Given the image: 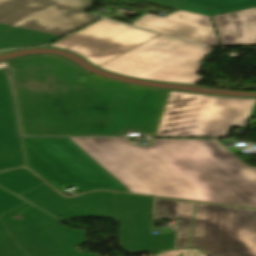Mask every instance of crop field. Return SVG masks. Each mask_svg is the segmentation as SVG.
Instances as JSON below:
<instances>
[{"label":"crop field","mask_w":256,"mask_h":256,"mask_svg":"<svg viewBox=\"0 0 256 256\" xmlns=\"http://www.w3.org/2000/svg\"><path fill=\"white\" fill-rule=\"evenodd\" d=\"M256 98L172 90L158 132L160 137H226L231 126L245 127Z\"/></svg>","instance_id":"4"},{"label":"crop field","mask_w":256,"mask_h":256,"mask_svg":"<svg viewBox=\"0 0 256 256\" xmlns=\"http://www.w3.org/2000/svg\"><path fill=\"white\" fill-rule=\"evenodd\" d=\"M213 48L159 36L100 66L107 71L168 83L196 85L201 61Z\"/></svg>","instance_id":"5"},{"label":"crop field","mask_w":256,"mask_h":256,"mask_svg":"<svg viewBox=\"0 0 256 256\" xmlns=\"http://www.w3.org/2000/svg\"><path fill=\"white\" fill-rule=\"evenodd\" d=\"M9 64L25 136H124L133 129L153 137L170 91L91 75L55 55Z\"/></svg>","instance_id":"1"},{"label":"crop field","mask_w":256,"mask_h":256,"mask_svg":"<svg viewBox=\"0 0 256 256\" xmlns=\"http://www.w3.org/2000/svg\"><path fill=\"white\" fill-rule=\"evenodd\" d=\"M221 45L256 44V9L212 17Z\"/></svg>","instance_id":"14"},{"label":"crop field","mask_w":256,"mask_h":256,"mask_svg":"<svg viewBox=\"0 0 256 256\" xmlns=\"http://www.w3.org/2000/svg\"><path fill=\"white\" fill-rule=\"evenodd\" d=\"M49 213L63 218H114L115 193H95L64 198L46 183L20 195Z\"/></svg>","instance_id":"11"},{"label":"crop field","mask_w":256,"mask_h":256,"mask_svg":"<svg viewBox=\"0 0 256 256\" xmlns=\"http://www.w3.org/2000/svg\"><path fill=\"white\" fill-rule=\"evenodd\" d=\"M131 24L134 27L198 43L219 44L214 25L208 15L180 11L162 18L147 14Z\"/></svg>","instance_id":"12"},{"label":"crop field","mask_w":256,"mask_h":256,"mask_svg":"<svg viewBox=\"0 0 256 256\" xmlns=\"http://www.w3.org/2000/svg\"><path fill=\"white\" fill-rule=\"evenodd\" d=\"M42 183L44 181L25 168L0 173V185L18 195Z\"/></svg>","instance_id":"17"},{"label":"crop field","mask_w":256,"mask_h":256,"mask_svg":"<svg viewBox=\"0 0 256 256\" xmlns=\"http://www.w3.org/2000/svg\"><path fill=\"white\" fill-rule=\"evenodd\" d=\"M184 11L214 15L256 7V0H139Z\"/></svg>","instance_id":"15"},{"label":"crop field","mask_w":256,"mask_h":256,"mask_svg":"<svg viewBox=\"0 0 256 256\" xmlns=\"http://www.w3.org/2000/svg\"><path fill=\"white\" fill-rule=\"evenodd\" d=\"M30 206H32V205L29 204V203H26V204H24V205H22V206H20V207H18V208H16V209H14V210H11V211H9V212H7V213L1 215V216H0V220H2V219H4V218H7V217H9V216H12V215H14V214H17V213H19L20 211H22V210H24V209H26V208H28V207H30Z\"/></svg>","instance_id":"20"},{"label":"crop field","mask_w":256,"mask_h":256,"mask_svg":"<svg viewBox=\"0 0 256 256\" xmlns=\"http://www.w3.org/2000/svg\"><path fill=\"white\" fill-rule=\"evenodd\" d=\"M0 256H27L0 221Z\"/></svg>","instance_id":"18"},{"label":"crop field","mask_w":256,"mask_h":256,"mask_svg":"<svg viewBox=\"0 0 256 256\" xmlns=\"http://www.w3.org/2000/svg\"><path fill=\"white\" fill-rule=\"evenodd\" d=\"M153 198L116 193L115 221L120 222L122 249L135 253L172 249L174 235L151 236Z\"/></svg>","instance_id":"10"},{"label":"crop field","mask_w":256,"mask_h":256,"mask_svg":"<svg viewBox=\"0 0 256 256\" xmlns=\"http://www.w3.org/2000/svg\"><path fill=\"white\" fill-rule=\"evenodd\" d=\"M191 246L208 256H256V210L197 203Z\"/></svg>","instance_id":"7"},{"label":"crop field","mask_w":256,"mask_h":256,"mask_svg":"<svg viewBox=\"0 0 256 256\" xmlns=\"http://www.w3.org/2000/svg\"><path fill=\"white\" fill-rule=\"evenodd\" d=\"M14 50H5V51H1L0 54H4V53H8V52H12Z\"/></svg>","instance_id":"24"},{"label":"crop field","mask_w":256,"mask_h":256,"mask_svg":"<svg viewBox=\"0 0 256 256\" xmlns=\"http://www.w3.org/2000/svg\"><path fill=\"white\" fill-rule=\"evenodd\" d=\"M25 166L11 83L0 71V171Z\"/></svg>","instance_id":"13"},{"label":"crop field","mask_w":256,"mask_h":256,"mask_svg":"<svg viewBox=\"0 0 256 256\" xmlns=\"http://www.w3.org/2000/svg\"><path fill=\"white\" fill-rule=\"evenodd\" d=\"M188 249L168 251L164 252L161 256H179L181 253L184 254Z\"/></svg>","instance_id":"21"},{"label":"crop field","mask_w":256,"mask_h":256,"mask_svg":"<svg viewBox=\"0 0 256 256\" xmlns=\"http://www.w3.org/2000/svg\"><path fill=\"white\" fill-rule=\"evenodd\" d=\"M159 35L121 23L100 20L50 47L82 56L98 67Z\"/></svg>","instance_id":"9"},{"label":"crop field","mask_w":256,"mask_h":256,"mask_svg":"<svg viewBox=\"0 0 256 256\" xmlns=\"http://www.w3.org/2000/svg\"><path fill=\"white\" fill-rule=\"evenodd\" d=\"M195 203L156 198L155 218H180L175 249L188 245Z\"/></svg>","instance_id":"16"},{"label":"crop field","mask_w":256,"mask_h":256,"mask_svg":"<svg viewBox=\"0 0 256 256\" xmlns=\"http://www.w3.org/2000/svg\"><path fill=\"white\" fill-rule=\"evenodd\" d=\"M5 67H8L6 62L0 63V68H5Z\"/></svg>","instance_id":"23"},{"label":"crop field","mask_w":256,"mask_h":256,"mask_svg":"<svg viewBox=\"0 0 256 256\" xmlns=\"http://www.w3.org/2000/svg\"><path fill=\"white\" fill-rule=\"evenodd\" d=\"M24 203L26 202L0 187V215Z\"/></svg>","instance_id":"19"},{"label":"crop field","mask_w":256,"mask_h":256,"mask_svg":"<svg viewBox=\"0 0 256 256\" xmlns=\"http://www.w3.org/2000/svg\"><path fill=\"white\" fill-rule=\"evenodd\" d=\"M21 214L20 221L10 217L2 223L28 256H98L79 252L77 245L87 241L84 230L64 227L35 207Z\"/></svg>","instance_id":"8"},{"label":"crop field","mask_w":256,"mask_h":256,"mask_svg":"<svg viewBox=\"0 0 256 256\" xmlns=\"http://www.w3.org/2000/svg\"><path fill=\"white\" fill-rule=\"evenodd\" d=\"M86 0H0V50L50 43L102 16Z\"/></svg>","instance_id":"3"},{"label":"crop field","mask_w":256,"mask_h":256,"mask_svg":"<svg viewBox=\"0 0 256 256\" xmlns=\"http://www.w3.org/2000/svg\"><path fill=\"white\" fill-rule=\"evenodd\" d=\"M251 116H252V117H256V106H255V109H254V111H253V113H252Z\"/></svg>","instance_id":"25"},{"label":"crop field","mask_w":256,"mask_h":256,"mask_svg":"<svg viewBox=\"0 0 256 256\" xmlns=\"http://www.w3.org/2000/svg\"><path fill=\"white\" fill-rule=\"evenodd\" d=\"M28 168L54 186L127 191L68 138H23ZM130 193V192H129Z\"/></svg>","instance_id":"6"},{"label":"crop field","mask_w":256,"mask_h":256,"mask_svg":"<svg viewBox=\"0 0 256 256\" xmlns=\"http://www.w3.org/2000/svg\"><path fill=\"white\" fill-rule=\"evenodd\" d=\"M183 256H205L196 249H189Z\"/></svg>","instance_id":"22"},{"label":"crop field","mask_w":256,"mask_h":256,"mask_svg":"<svg viewBox=\"0 0 256 256\" xmlns=\"http://www.w3.org/2000/svg\"><path fill=\"white\" fill-rule=\"evenodd\" d=\"M69 139L132 193L256 208V168L216 140Z\"/></svg>","instance_id":"2"}]
</instances>
